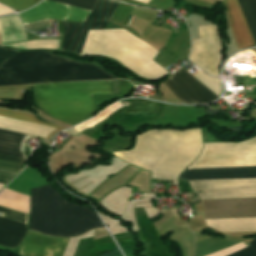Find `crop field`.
Returning <instances> with one entry per match:
<instances>
[{"label":"crop field","mask_w":256,"mask_h":256,"mask_svg":"<svg viewBox=\"0 0 256 256\" xmlns=\"http://www.w3.org/2000/svg\"><path fill=\"white\" fill-rule=\"evenodd\" d=\"M237 243L240 242L211 237L196 244V256H206L231 247Z\"/></svg>","instance_id":"crop-field-17"},{"label":"crop field","mask_w":256,"mask_h":256,"mask_svg":"<svg viewBox=\"0 0 256 256\" xmlns=\"http://www.w3.org/2000/svg\"><path fill=\"white\" fill-rule=\"evenodd\" d=\"M249 247L230 256H256V240L247 244Z\"/></svg>","instance_id":"crop-field-26"},{"label":"crop field","mask_w":256,"mask_h":256,"mask_svg":"<svg viewBox=\"0 0 256 256\" xmlns=\"http://www.w3.org/2000/svg\"><path fill=\"white\" fill-rule=\"evenodd\" d=\"M27 233V224L0 217V245L14 248Z\"/></svg>","instance_id":"crop-field-13"},{"label":"crop field","mask_w":256,"mask_h":256,"mask_svg":"<svg viewBox=\"0 0 256 256\" xmlns=\"http://www.w3.org/2000/svg\"><path fill=\"white\" fill-rule=\"evenodd\" d=\"M13 12L14 11L10 10L6 6L0 4V16L10 14V13H13Z\"/></svg>","instance_id":"crop-field-28"},{"label":"crop field","mask_w":256,"mask_h":256,"mask_svg":"<svg viewBox=\"0 0 256 256\" xmlns=\"http://www.w3.org/2000/svg\"><path fill=\"white\" fill-rule=\"evenodd\" d=\"M120 79L94 64L46 51L15 53L0 66V85Z\"/></svg>","instance_id":"crop-field-2"},{"label":"crop field","mask_w":256,"mask_h":256,"mask_svg":"<svg viewBox=\"0 0 256 256\" xmlns=\"http://www.w3.org/2000/svg\"><path fill=\"white\" fill-rule=\"evenodd\" d=\"M0 36L3 44L27 40L18 15L0 18Z\"/></svg>","instance_id":"crop-field-15"},{"label":"crop field","mask_w":256,"mask_h":256,"mask_svg":"<svg viewBox=\"0 0 256 256\" xmlns=\"http://www.w3.org/2000/svg\"><path fill=\"white\" fill-rule=\"evenodd\" d=\"M26 135L0 129V153L23 157L19 146ZM0 154V158L23 163V158Z\"/></svg>","instance_id":"crop-field-14"},{"label":"crop field","mask_w":256,"mask_h":256,"mask_svg":"<svg viewBox=\"0 0 256 256\" xmlns=\"http://www.w3.org/2000/svg\"><path fill=\"white\" fill-rule=\"evenodd\" d=\"M104 227L92 210L65 201L51 185L32 189L31 229L59 237H76Z\"/></svg>","instance_id":"crop-field-3"},{"label":"crop field","mask_w":256,"mask_h":256,"mask_svg":"<svg viewBox=\"0 0 256 256\" xmlns=\"http://www.w3.org/2000/svg\"><path fill=\"white\" fill-rule=\"evenodd\" d=\"M159 51L124 29L90 31L83 52L114 58L137 75L157 79L168 71L152 59Z\"/></svg>","instance_id":"crop-field-6"},{"label":"crop field","mask_w":256,"mask_h":256,"mask_svg":"<svg viewBox=\"0 0 256 256\" xmlns=\"http://www.w3.org/2000/svg\"><path fill=\"white\" fill-rule=\"evenodd\" d=\"M60 42L61 40H55V39H38V40L8 44L6 46L18 47V48H24V49L48 48V49L59 50Z\"/></svg>","instance_id":"crop-field-18"},{"label":"crop field","mask_w":256,"mask_h":256,"mask_svg":"<svg viewBox=\"0 0 256 256\" xmlns=\"http://www.w3.org/2000/svg\"><path fill=\"white\" fill-rule=\"evenodd\" d=\"M200 129L188 131L151 130L138 135L131 151L114 154L121 159L152 171V178L176 180L200 153Z\"/></svg>","instance_id":"crop-field-1"},{"label":"crop field","mask_w":256,"mask_h":256,"mask_svg":"<svg viewBox=\"0 0 256 256\" xmlns=\"http://www.w3.org/2000/svg\"><path fill=\"white\" fill-rule=\"evenodd\" d=\"M256 167L185 170L179 178L187 180L251 178ZM193 190H205L202 199L256 197V178L190 181Z\"/></svg>","instance_id":"crop-field-7"},{"label":"crop field","mask_w":256,"mask_h":256,"mask_svg":"<svg viewBox=\"0 0 256 256\" xmlns=\"http://www.w3.org/2000/svg\"><path fill=\"white\" fill-rule=\"evenodd\" d=\"M220 2L227 8L231 27L240 49L255 46L238 0H222Z\"/></svg>","instance_id":"crop-field-12"},{"label":"crop field","mask_w":256,"mask_h":256,"mask_svg":"<svg viewBox=\"0 0 256 256\" xmlns=\"http://www.w3.org/2000/svg\"><path fill=\"white\" fill-rule=\"evenodd\" d=\"M0 212L4 213L2 216L27 223V214L15 212L3 207H0Z\"/></svg>","instance_id":"crop-field-25"},{"label":"crop field","mask_w":256,"mask_h":256,"mask_svg":"<svg viewBox=\"0 0 256 256\" xmlns=\"http://www.w3.org/2000/svg\"><path fill=\"white\" fill-rule=\"evenodd\" d=\"M0 116L10 117V118H14V119H19V120H24V121H28V122H33V123H38V124H42V125H47V126L59 128L58 130L52 132V134H50L48 136V139H50V137L55 132L64 129V127L55 126V125H52V124H49V123L41 122L35 116L28 115V114H23V113H18V112H14V111H9V110H5V109H0Z\"/></svg>","instance_id":"crop-field-21"},{"label":"crop field","mask_w":256,"mask_h":256,"mask_svg":"<svg viewBox=\"0 0 256 256\" xmlns=\"http://www.w3.org/2000/svg\"><path fill=\"white\" fill-rule=\"evenodd\" d=\"M68 240L29 232L22 243L20 254L21 256H62Z\"/></svg>","instance_id":"crop-field-11"},{"label":"crop field","mask_w":256,"mask_h":256,"mask_svg":"<svg viewBox=\"0 0 256 256\" xmlns=\"http://www.w3.org/2000/svg\"><path fill=\"white\" fill-rule=\"evenodd\" d=\"M193 76H195L199 81H201L204 85H206L209 89H211L218 96L220 95L221 87H220L219 80H213L212 78H210L208 75H206L201 70L194 73Z\"/></svg>","instance_id":"crop-field-22"},{"label":"crop field","mask_w":256,"mask_h":256,"mask_svg":"<svg viewBox=\"0 0 256 256\" xmlns=\"http://www.w3.org/2000/svg\"><path fill=\"white\" fill-rule=\"evenodd\" d=\"M256 41V0H239Z\"/></svg>","instance_id":"crop-field-20"},{"label":"crop field","mask_w":256,"mask_h":256,"mask_svg":"<svg viewBox=\"0 0 256 256\" xmlns=\"http://www.w3.org/2000/svg\"><path fill=\"white\" fill-rule=\"evenodd\" d=\"M22 167L23 164L0 159V183L6 184ZM3 184H0V191L4 186Z\"/></svg>","instance_id":"crop-field-19"},{"label":"crop field","mask_w":256,"mask_h":256,"mask_svg":"<svg viewBox=\"0 0 256 256\" xmlns=\"http://www.w3.org/2000/svg\"><path fill=\"white\" fill-rule=\"evenodd\" d=\"M207 225L221 232L256 231V218L206 220Z\"/></svg>","instance_id":"crop-field-16"},{"label":"crop field","mask_w":256,"mask_h":256,"mask_svg":"<svg viewBox=\"0 0 256 256\" xmlns=\"http://www.w3.org/2000/svg\"><path fill=\"white\" fill-rule=\"evenodd\" d=\"M54 1L79 6L83 9H87V10H91V11L93 10V8L97 2V0H54Z\"/></svg>","instance_id":"crop-field-24"},{"label":"crop field","mask_w":256,"mask_h":256,"mask_svg":"<svg viewBox=\"0 0 256 256\" xmlns=\"http://www.w3.org/2000/svg\"><path fill=\"white\" fill-rule=\"evenodd\" d=\"M256 166V137L239 143L204 144L202 155L188 169Z\"/></svg>","instance_id":"crop-field-8"},{"label":"crop field","mask_w":256,"mask_h":256,"mask_svg":"<svg viewBox=\"0 0 256 256\" xmlns=\"http://www.w3.org/2000/svg\"><path fill=\"white\" fill-rule=\"evenodd\" d=\"M200 40H193L191 61L215 78L222 63V44L217 25L199 26Z\"/></svg>","instance_id":"crop-field-9"},{"label":"crop field","mask_w":256,"mask_h":256,"mask_svg":"<svg viewBox=\"0 0 256 256\" xmlns=\"http://www.w3.org/2000/svg\"><path fill=\"white\" fill-rule=\"evenodd\" d=\"M163 82L183 103H207L218 98L217 95L191 76L185 69L173 74Z\"/></svg>","instance_id":"crop-field-10"},{"label":"crop field","mask_w":256,"mask_h":256,"mask_svg":"<svg viewBox=\"0 0 256 256\" xmlns=\"http://www.w3.org/2000/svg\"><path fill=\"white\" fill-rule=\"evenodd\" d=\"M119 5L120 2L114 0H98L91 14L74 6L45 0L19 15L27 24L43 19L85 22L91 14L85 23L63 22L66 37L61 50L80 54L89 30L105 29Z\"/></svg>","instance_id":"crop-field-5"},{"label":"crop field","mask_w":256,"mask_h":256,"mask_svg":"<svg viewBox=\"0 0 256 256\" xmlns=\"http://www.w3.org/2000/svg\"><path fill=\"white\" fill-rule=\"evenodd\" d=\"M40 0H0V2L10 6L11 8L19 11H23L32 5L36 4Z\"/></svg>","instance_id":"crop-field-23"},{"label":"crop field","mask_w":256,"mask_h":256,"mask_svg":"<svg viewBox=\"0 0 256 256\" xmlns=\"http://www.w3.org/2000/svg\"><path fill=\"white\" fill-rule=\"evenodd\" d=\"M103 94H112L111 81L34 85L35 105L72 125L93 116V95Z\"/></svg>","instance_id":"crop-field-4"},{"label":"crop field","mask_w":256,"mask_h":256,"mask_svg":"<svg viewBox=\"0 0 256 256\" xmlns=\"http://www.w3.org/2000/svg\"><path fill=\"white\" fill-rule=\"evenodd\" d=\"M16 51L17 50H15V49H9V48L0 47V64L3 62V60L6 57L10 56L11 54L15 53Z\"/></svg>","instance_id":"crop-field-27"}]
</instances>
